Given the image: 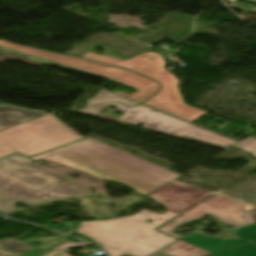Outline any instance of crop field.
Here are the masks:
<instances>
[{
	"label": "crop field",
	"instance_id": "d9b57169",
	"mask_svg": "<svg viewBox=\"0 0 256 256\" xmlns=\"http://www.w3.org/2000/svg\"><path fill=\"white\" fill-rule=\"evenodd\" d=\"M81 246H89V244H75V243L69 241V242H67L66 244H64V245H62V246H60V247H58L57 249L53 250L52 252L48 253V254L45 255V256H51L52 254L58 253V252L63 253L62 251L65 250V249H67V248H71V247H81ZM62 256H69V255L63 253Z\"/></svg>",
	"mask_w": 256,
	"mask_h": 256
},
{
	"label": "crop field",
	"instance_id": "733c2abd",
	"mask_svg": "<svg viewBox=\"0 0 256 256\" xmlns=\"http://www.w3.org/2000/svg\"><path fill=\"white\" fill-rule=\"evenodd\" d=\"M153 256H169V255H166L164 253L158 252V253L154 254Z\"/></svg>",
	"mask_w": 256,
	"mask_h": 256
},
{
	"label": "crop field",
	"instance_id": "d1516ede",
	"mask_svg": "<svg viewBox=\"0 0 256 256\" xmlns=\"http://www.w3.org/2000/svg\"><path fill=\"white\" fill-rule=\"evenodd\" d=\"M176 239L168 237L156 230L136 240L140 244L154 248L156 250L166 246L167 244L175 241Z\"/></svg>",
	"mask_w": 256,
	"mask_h": 256
},
{
	"label": "crop field",
	"instance_id": "34b2d1b8",
	"mask_svg": "<svg viewBox=\"0 0 256 256\" xmlns=\"http://www.w3.org/2000/svg\"><path fill=\"white\" fill-rule=\"evenodd\" d=\"M93 193L33 168L32 160L19 153L0 159V212L89 196Z\"/></svg>",
	"mask_w": 256,
	"mask_h": 256
},
{
	"label": "crop field",
	"instance_id": "5a996713",
	"mask_svg": "<svg viewBox=\"0 0 256 256\" xmlns=\"http://www.w3.org/2000/svg\"><path fill=\"white\" fill-rule=\"evenodd\" d=\"M234 234L241 236L240 240L223 241L218 238H202L196 235H190L182 238L181 240L210 250L212 252L252 243L247 240L253 239L256 241V225H248L237 231ZM256 245L255 243H252ZM212 256H256V246L247 245L219 253L212 254Z\"/></svg>",
	"mask_w": 256,
	"mask_h": 256
},
{
	"label": "crop field",
	"instance_id": "8a807250",
	"mask_svg": "<svg viewBox=\"0 0 256 256\" xmlns=\"http://www.w3.org/2000/svg\"><path fill=\"white\" fill-rule=\"evenodd\" d=\"M213 193L171 182L148 195L168 208L167 212L158 215L147 210L108 221L81 222L77 233L83 234L103 246L109 256L130 254L132 256H148L155 252L151 248L133 242L146 233L154 230L168 220L178 216ZM148 219L154 220L148 223Z\"/></svg>",
	"mask_w": 256,
	"mask_h": 256
},
{
	"label": "crop field",
	"instance_id": "22f410ed",
	"mask_svg": "<svg viewBox=\"0 0 256 256\" xmlns=\"http://www.w3.org/2000/svg\"><path fill=\"white\" fill-rule=\"evenodd\" d=\"M31 248L20 241L5 239L0 242V256H18Z\"/></svg>",
	"mask_w": 256,
	"mask_h": 256
},
{
	"label": "crop field",
	"instance_id": "28ad6ade",
	"mask_svg": "<svg viewBox=\"0 0 256 256\" xmlns=\"http://www.w3.org/2000/svg\"><path fill=\"white\" fill-rule=\"evenodd\" d=\"M161 252L167 253L172 256H204L210 254V252L208 251L200 249L181 240L175 242Z\"/></svg>",
	"mask_w": 256,
	"mask_h": 256
},
{
	"label": "crop field",
	"instance_id": "3316defc",
	"mask_svg": "<svg viewBox=\"0 0 256 256\" xmlns=\"http://www.w3.org/2000/svg\"><path fill=\"white\" fill-rule=\"evenodd\" d=\"M45 114L11 106H0V130L32 120Z\"/></svg>",
	"mask_w": 256,
	"mask_h": 256
},
{
	"label": "crop field",
	"instance_id": "e52e79f7",
	"mask_svg": "<svg viewBox=\"0 0 256 256\" xmlns=\"http://www.w3.org/2000/svg\"><path fill=\"white\" fill-rule=\"evenodd\" d=\"M120 107L124 114L119 118L128 124H144L149 130L167 134L181 139L203 141L222 148H229L237 142L184 122L142 104L129 108L119 103H104L92 108L77 111L81 113L100 114L107 106Z\"/></svg>",
	"mask_w": 256,
	"mask_h": 256
},
{
	"label": "crop field",
	"instance_id": "412701ff",
	"mask_svg": "<svg viewBox=\"0 0 256 256\" xmlns=\"http://www.w3.org/2000/svg\"><path fill=\"white\" fill-rule=\"evenodd\" d=\"M103 47L102 55L96 54L94 49ZM108 65H117L146 77L152 78L162 84L161 92L143 104L156 108L191 123L204 117L208 113L184 104L178 92V80L165 69L166 64L161 54L148 52L130 59L116 55L111 48L104 45H92L90 52L82 56Z\"/></svg>",
	"mask_w": 256,
	"mask_h": 256
},
{
	"label": "crop field",
	"instance_id": "dd49c442",
	"mask_svg": "<svg viewBox=\"0 0 256 256\" xmlns=\"http://www.w3.org/2000/svg\"><path fill=\"white\" fill-rule=\"evenodd\" d=\"M83 139L52 115L0 131V158L16 151L33 156Z\"/></svg>",
	"mask_w": 256,
	"mask_h": 256
},
{
	"label": "crop field",
	"instance_id": "cbeb9de0",
	"mask_svg": "<svg viewBox=\"0 0 256 256\" xmlns=\"http://www.w3.org/2000/svg\"><path fill=\"white\" fill-rule=\"evenodd\" d=\"M108 101H118L120 103L129 105V106L139 104L137 102H134L132 100L126 99L124 97H121L119 95H116L114 93H111L109 91L102 89L98 92L96 97L88 100L86 107L95 105V104H99V103H103V102H108Z\"/></svg>",
	"mask_w": 256,
	"mask_h": 256
},
{
	"label": "crop field",
	"instance_id": "ac0d7876",
	"mask_svg": "<svg viewBox=\"0 0 256 256\" xmlns=\"http://www.w3.org/2000/svg\"><path fill=\"white\" fill-rule=\"evenodd\" d=\"M31 159L52 160L104 180L125 184L145 195L180 176L90 138Z\"/></svg>",
	"mask_w": 256,
	"mask_h": 256
},
{
	"label": "crop field",
	"instance_id": "f4fd0767",
	"mask_svg": "<svg viewBox=\"0 0 256 256\" xmlns=\"http://www.w3.org/2000/svg\"><path fill=\"white\" fill-rule=\"evenodd\" d=\"M0 49L15 55L24 56L38 63L57 65L101 77L138 90L136 93H114L139 103L159 91L160 84L119 67H108L74 56L51 54L0 40Z\"/></svg>",
	"mask_w": 256,
	"mask_h": 256
},
{
	"label": "crop field",
	"instance_id": "5142ce71",
	"mask_svg": "<svg viewBox=\"0 0 256 256\" xmlns=\"http://www.w3.org/2000/svg\"><path fill=\"white\" fill-rule=\"evenodd\" d=\"M234 147L244 150L246 152H251L256 157V139L254 138L249 137L239 142Z\"/></svg>",
	"mask_w": 256,
	"mask_h": 256
},
{
	"label": "crop field",
	"instance_id": "d8731c3e",
	"mask_svg": "<svg viewBox=\"0 0 256 256\" xmlns=\"http://www.w3.org/2000/svg\"><path fill=\"white\" fill-rule=\"evenodd\" d=\"M206 215H211L217 220L231 224L237 228L250 223L245 218L244 207L241 203L222 195H214L158 230L179 238L181 236L172 233L177 226L191 220L203 218Z\"/></svg>",
	"mask_w": 256,
	"mask_h": 256
}]
</instances>
